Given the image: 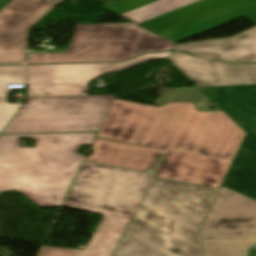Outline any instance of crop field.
<instances>
[{
	"mask_svg": "<svg viewBox=\"0 0 256 256\" xmlns=\"http://www.w3.org/2000/svg\"><path fill=\"white\" fill-rule=\"evenodd\" d=\"M244 136L222 111L199 112L184 102L156 108L114 99L96 137L232 160Z\"/></svg>",
	"mask_w": 256,
	"mask_h": 256,
	"instance_id": "1",
	"label": "crop field"
},
{
	"mask_svg": "<svg viewBox=\"0 0 256 256\" xmlns=\"http://www.w3.org/2000/svg\"><path fill=\"white\" fill-rule=\"evenodd\" d=\"M218 190L154 178L113 256H202L199 229Z\"/></svg>",
	"mask_w": 256,
	"mask_h": 256,
	"instance_id": "2",
	"label": "crop field"
},
{
	"mask_svg": "<svg viewBox=\"0 0 256 256\" xmlns=\"http://www.w3.org/2000/svg\"><path fill=\"white\" fill-rule=\"evenodd\" d=\"M96 133L0 135V192L16 191L39 207L61 206ZM32 137L35 148H20L18 138Z\"/></svg>",
	"mask_w": 256,
	"mask_h": 256,
	"instance_id": "3",
	"label": "crop field"
},
{
	"mask_svg": "<svg viewBox=\"0 0 256 256\" xmlns=\"http://www.w3.org/2000/svg\"><path fill=\"white\" fill-rule=\"evenodd\" d=\"M174 44L133 23L76 25L66 52L31 53L27 64L124 61Z\"/></svg>",
	"mask_w": 256,
	"mask_h": 256,
	"instance_id": "4",
	"label": "crop field"
},
{
	"mask_svg": "<svg viewBox=\"0 0 256 256\" xmlns=\"http://www.w3.org/2000/svg\"><path fill=\"white\" fill-rule=\"evenodd\" d=\"M114 96L27 98L5 134L98 131Z\"/></svg>",
	"mask_w": 256,
	"mask_h": 256,
	"instance_id": "5",
	"label": "crop field"
},
{
	"mask_svg": "<svg viewBox=\"0 0 256 256\" xmlns=\"http://www.w3.org/2000/svg\"><path fill=\"white\" fill-rule=\"evenodd\" d=\"M200 240L203 256H247L256 244V201L221 186Z\"/></svg>",
	"mask_w": 256,
	"mask_h": 256,
	"instance_id": "6",
	"label": "crop field"
},
{
	"mask_svg": "<svg viewBox=\"0 0 256 256\" xmlns=\"http://www.w3.org/2000/svg\"><path fill=\"white\" fill-rule=\"evenodd\" d=\"M154 174L85 162L66 200L134 215Z\"/></svg>",
	"mask_w": 256,
	"mask_h": 256,
	"instance_id": "7",
	"label": "crop field"
},
{
	"mask_svg": "<svg viewBox=\"0 0 256 256\" xmlns=\"http://www.w3.org/2000/svg\"><path fill=\"white\" fill-rule=\"evenodd\" d=\"M170 53H147L122 63L27 65L28 96L87 94L88 83L106 73L168 58Z\"/></svg>",
	"mask_w": 256,
	"mask_h": 256,
	"instance_id": "8",
	"label": "crop field"
},
{
	"mask_svg": "<svg viewBox=\"0 0 256 256\" xmlns=\"http://www.w3.org/2000/svg\"><path fill=\"white\" fill-rule=\"evenodd\" d=\"M52 6L47 0H12L0 10V64L24 60L25 29Z\"/></svg>",
	"mask_w": 256,
	"mask_h": 256,
	"instance_id": "9",
	"label": "crop field"
},
{
	"mask_svg": "<svg viewBox=\"0 0 256 256\" xmlns=\"http://www.w3.org/2000/svg\"><path fill=\"white\" fill-rule=\"evenodd\" d=\"M168 60L197 87L256 84V64H224L177 52H172Z\"/></svg>",
	"mask_w": 256,
	"mask_h": 256,
	"instance_id": "10",
	"label": "crop field"
},
{
	"mask_svg": "<svg viewBox=\"0 0 256 256\" xmlns=\"http://www.w3.org/2000/svg\"><path fill=\"white\" fill-rule=\"evenodd\" d=\"M232 161L166 152L155 177L219 188Z\"/></svg>",
	"mask_w": 256,
	"mask_h": 256,
	"instance_id": "11",
	"label": "crop field"
},
{
	"mask_svg": "<svg viewBox=\"0 0 256 256\" xmlns=\"http://www.w3.org/2000/svg\"><path fill=\"white\" fill-rule=\"evenodd\" d=\"M174 50L223 62L255 63L256 26L228 38L176 45Z\"/></svg>",
	"mask_w": 256,
	"mask_h": 256,
	"instance_id": "12",
	"label": "crop field"
},
{
	"mask_svg": "<svg viewBox=\"0 0 256 256\" xmlns=\"http://www.w3.org/2000/svg\"><path fill=\"white\" fill-rule=\"evenodd\" d=\"M197 89L256 139V85Z\"/></svg>",
	"mask_w": 256,
	"mask_h": 256,
	"instance_id": "13",
	"label": "crop field"
},
{
	"mask_svg": "<svg viewBox=\"0 0 256 256\" xmlns=\"http://www.w3.org/2000/svg\"><path fill=\"white\" fill-rule=\"evenodd\" d=\"M87 161L147 171L157 168L165 151L96 138Z\"/></svg>",
	"mask_w": 256,
	"mask_h": 256,
	"instance_id": "14",
	"label": "crop field"
},
{
	"mask_svg": "<svg viewBox=\"0 0 256 256\" xmlns=\"http://www.w3.org/2000/svg\"><path fill=\"white\" fill-rule=\"evenodd\" d=\"M65 207L104 215L80 256H110L131 216L65 201Z\"/></svg>",
	"mask_w": 256,
	"mask_h": 256,
	"instance_id": "15",
	"label": "crop field"
},
{
	"mask_svg": "<svg viewBox=\"0 0 256 256\" xmlns=\"http://www.w3.org/2000/svg\"><path fill=\"white\" fill-rule=\"evenodd\" d=\"M222 186L256 200V140L246 135Z\"/></svg>",
	"mask_w": 256,
	"mask_h": 256,
	"instance_id": "16",
	"label": "crop field"
},
{
	"mask_svg": "<svg viewBox=\"0 0 256 256\" xmlns=\"http://www.w3.org/2000/svg\"><path fill=\"white\" fill-rule=\"evenodd\" d=\"M7 84H24V66L0 67V131L22 103H7Z\"/></svg>",
	"mask_w": 256,
	"mask_h": 256,
	"instance_id": "17",
	"label": "crop field"
},
{
	"mask_svg": "<svg viewBox=\"0 0 256 256\" xmlns=\"http://www.w3.org/2000/svg\"><path fill=\"white\" fill-rule=\"evenodd\" d=\"M80 250L43 247L39 256H77Z\"/></svg>",
	"mask_w": 256,
	"mask_h": 256,
	"instance_id": "18",
	"label": "crop field"
},
{
	"mask_svg": "<svg viewBox=\"0 0 256 256\" xmlns=\"http://www.w3.org/2000/svg\"><path fill=\"white\" fill-rule=\"evenodd\" d=\"M9 0H0V8L5 5Z\"/></svg>",
	"mask_w": 256,
	"mask_h": 256,
	"instance_id": "19",
	"label": "crop field"
},
{
	"mask_svg": "<svg viewBox=\"0 0 256 256\" xmlns=\"http://www.w3.org/2000/svg\"><path fill=\"white\" fill-rule=\"evenodd\" d=\"M49 1L55 4L58 0H49Z\"/></svg>",
	"mask_w": 256,
	"mask_h": 256,
	"instance_id": "20",
	"label": "crop field"
}]
</instances>
